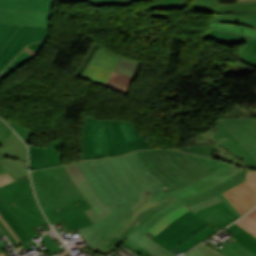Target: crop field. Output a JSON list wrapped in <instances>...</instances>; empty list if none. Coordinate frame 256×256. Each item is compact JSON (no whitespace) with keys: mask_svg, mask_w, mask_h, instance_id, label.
I'll return each instance as SVG.
<instances>
[{"mask_svg":"<svg viewBox=\"0 0 256 256\" xmlns=\"http://www.w3.org/2000/svg\"><path fill=\"white\" fill-rule=\"evenodd\" d=\"M0 214L5 218V220L9 223L12 229L15 231L17 236L21 239L23 243L31 240L32 243L37 247V244L34 243L33 239L30 238L24 230L19 226V224L15 221V219L10 215V213L6 210L3 204L0 202Z\"/></svg>","mask_w":256,"mask_h":256,"instance_id":"31","label":"crop field"},{"mask_svg":"<svg viewBox=\"0 0 256 256\" xmlns=\"http://www.w3.org/2000/svg\"><path fill=\"white\" fill-rule=\"evenodd\" d=\"M246 172H247V170L233 176L232 178H230L227 181L223 182L222 184L208 190L207 192L200 194V195L189 197V198L183 200V202L187 206H189L191 204L197 203L206 198L218 195L228 205V207L233 211V213L238 218H240L242 216L238 213V211L231 205V203L224 197V195L221 192L244 181L246 178Z\"/></svg>","mask_w":256,"mask_h":256,"instance_id":"18","label":"crop field"},{"mask_svg":"<svg viewBox=\"0 0 256 256\" xmlns=\"http://www.w3.org/2000/svg\"><path fill=\"white\" fill-rule=\"evenodd\" d=\"M196 214L219 230L238 219L224 202L198 211Z\"/></svg>","mask_w":256,"mask_h":256,"instance_id":"19","label":"crop field"},{"mask_svg":"<svg viewBox=\"0 0 256 256\" xmlns=\"http://www.w3.org/2000/svg\"><path fill=\"white\" fill-rule=\"evenodd\" d=\"M238 54L243 62L256 67V38L249 37Z\"/></svg>","mask_w":256,"mask_h":256,"instance_id":"29","label":"crop field"},{"mask_svg":"<svg viewBox=\"0 0 256 256\" xmlns=\"http://www.w3.org/2000/svg\"><path fill=\"white\" fill-rule=\"evenodd\" d=\"M246 181L256 191V171L248 170Z\"/></svg>","mask_w":256,"mask_h":256,"instance_id":"46","label":"crop field"},{"mask_svg":"<svg viewBox=\"0 0 256 256\" xmlns=\"http://www.w3.org/2000/svg\"><path fill=\"white\" fill-rule=\"evenodd\" d=\"M183 205L185 204L173 192L161 189L104 231L96 248L111 236L124 242L137 230L145 234L167 214ZM137 221L140 222L138 225L135 224Z\"/></svg>","mask_w":256,"mask_h":256,"instance_id":"5","label":"crop field"},{"mask_svg":"<svg viewBox=\"0 0 256 256\" xmlns=\"http://www.w3.org/2000/svg\"><path fill=\"white\" fill-rule=\"evenodd\" d=\"M153 148L131 121L100 120L85 116L81 159L118 156Z\"/></svg>","mask_w":256,"mask_h":256,"instance_id":"3","label":"crop field"},{"mask_svg":"<svg viewBox=\"0 0 256 256\" xmlns=\"http://www.w3.org/2000/svg\"><path fill=\"white\" fill-rule=\"evenodd\" d=\"M0 228L5 233L6 237L9 239V241L12 243L13 246L17 245V243L14 241V239L10 236V234L7 232V230L4 228V226L0 222Z\"/></svg>","mask_w":256,"mask_h":256,"instance_id":"50","label":"crop field"},{"mask_svg":"<svg viewBox=\"0 0 256 256\" xmlns=\"http://www.w3.org/2000/svg\"><path fill=\"white\" fill-rule=\"evenodd\" d=\"M149 16L169 20V14H149Z\"/></svg>","mask_w":256,"mask_h":256,"instance_id":"51","label":"crop field"},{"mask_svg":"<svg viewBox=\"0 0 256 256\" xmlns=\"http://www.w3.org/2000/svg\"><path fill=\"white\" fill-rule=\"evenodd\" d=\"M63 140L42 146L29 147L30 170L62 165Z\"/></svg>","mask_w":256,"mask_h":256,"instance_id":"14","label":"crop field"},{"mask_svg":"<svg viewBox=\"0 0 256 256\" xmlns=\"http://www.w3.org/2000/svg\"><path fill=\"white\" fill-rule=\"evenodd\" d=\"M244 169L235 167L233 165H227L220 170L212 173L211 175L188 185L180 190L174 191V193L181 199H185L189 196L200 194L220 183L232 177L233 175L243 171Z\"/></svg>","mask_w":256,"mask_h":256,"instance_id":"15","label":"crop field"},{"mask_svg":"<svg viewBox=\"0 0 256 256\" xmlns=\"http://www.w3.org/2000/svg\"><path fill=\"white\" fill-rule=\"evenodd\" d=\"M41 242L47 247V249L51 253L65 248V246L58 248L54 241L51 239V237L48 235V233L44 235V237L41 239Z\"/></svg>","mask_w":256,"mask_h":256,"instance_id":"45","label":"crop field"},{"mask_svg":"<svg viewBox=\"0 0 256 256\" xmlns=\"http://www.w3.org/2000/svg\"><path fill=\"white\" fill-rule=\"evenodd\" d=\"M238 2L256 1V0H237Z\"/></svg>","mask_w":256,"mask_h":256,"instance_id":"53","label":"crop field"},{"mask_svg":"<svg viewBox=\"0 0 256 256\" xmlns=\"http://www.w3.org/2000/svg\"><path fill=\"white\" fill-rule=\"evenodd\" d=\"M195 5L193 9L214 11L217 5L220 3L219 0H193Z\"/></svg>","mask_w":256,"mask_h":256,"instance_id":"38","label":"crop field"},{"mask_svg":"<svg viewBox=\"0 0 256 256\" xmlns=\"http://www.w3.org/2000/svg\"><path fill=\"white\" fill-rule=\"evenodd\" d=\"M0 256H5L4 252L0 253Z\"/></svg>","mask_w":256,"mask_h":256,"instance_id":"55","label":"crop field"},{"mask_svg":"<svg viewBox=\"0 0 256 256\" xmlns=\"http://www.w3.org/2000/svg\"><path fill=\"white\" fill-rule=\"evenodd\" d=\"M127 239L131 240L132 242L144 248L155 256H175L171 252L159 246L154 241L138 231L132 234Z\"/></svg>","mask_w":256,"mask_h":256,"instance_id":"23","label":"crop field"},{"mask_svg":"<svg viewBox=\"0 0 256 256\" xmlns=\"http://www.w3.org/2000/svg\"><path fill=\"white\" fill-rule=\"evenodd\" d=\"M14 180H16V179L7 172L3 175H0V186L7 184L9 182H12ZM0 221L3 223V225L9 231V233L12 235V237L15 239V241L18 244H21L22 242L20 241V239L16 236V234L13 232L11 227L8 225V223L4 220V218L1 215H0Z\"/></svg>","mask_w":256,"mask_h":256,"instance_id":"37","label":"crop field"},{"mask_svg":"<svg viewBox=\"0 0 256 256\" xmlns=\"http://www.w3.org/2000/svg\"><path fill=\"white\" fill-rule=\"evenodd\" d=\"M187 6L186 0H158L147 9H181L187 8Z\"/></svg>","mask_w":256,"mask_h":256,"instance_id":"33","label":"crop field"},{"mask_svg":"<svg viewBox=\"0 0 256 256\" xmlns=\"http://www.w3.org/2000/svg\"><path fill=\"white\" fill-rule=\"evenodd\" d=\"M0 152L4 157L27 161V149L14 132L1 146Z\"/></svg>","mask_w":256,"mask_h":256,"instance_id":"22","label":"crop field"},{"mask_svg":"<svg viewBox=\"0 0 256 256\" xmlns=\"http://www.w3.org/2000/svg\"><path fill=\"white\" fill-rule=\"evenodd\" d=\"M131 79L132 77L113 72L107 80L106 85L125 92Z\"/></svg>","mask_w":256,"mask_h":256,"instance_id":"34","label":"crop field"},{"mask_svg":"<svg viewBox=\"0 0 256 256\" xmlns=\"http://www.w3.org/2000/svg\"><path fill=\"white\" fill-rule=\"evenodd\" d=\"M0 236H3V233L0 231ZM0 252H2V250L0 249Z\"/></svg>","mask_w":256,"mask_h":256,"instance_id":"54","label":"crop field"},{"mask_svg":"<svg viewBox=\"0 0 256 256\" xmlns=\"http://www.w3.org/2000/svg\"><path fill=\"white\" fill-rule=\"evenodd\" d=\"M99 46H101V45H100V43H98L97 41H95V42L91 45V47H90V49H89L87 55H86V56L84 57V59L82 60L80 66H79V68H78V70H77V72H76L77 75H81V73L83 72L84 68H85L86 65L88 64V62H89L91 56L93 55V53L96 51V49H97ZM107 51H108V50H107ZM108 52H109V51H108ZM109 53H110V52H109ZM111 54H112V53H111ZM120 57H121V56H120ZM120 61L139 65L138 71H137L136 74L118 70L119 73L126 74V75H129V76L134 77L133 80L130 82V84H129L128 88H127L126 93H124V92H122V91H119V90H116V89H114V88L108 87V86H106V85H102V84H100V85L105 86V87H108V88H111V89H113V90H116V91H119V92H121V93H124V94H127V95H128L130 85H131V83L134 81V79L137 77L142 62L136 61V60H133V59H129V58H125V57H122ZM86 79H87V78H86ZM93 82H94V81H93ZM98 84H99V83H98Z\"/></svg>","mask_w":256,"mask_h":256,"instance_id":"25","label":"crop field"},{"mask_svg":"<svg viewBox=\"0 0 256 256\" xmlns=\"http://www.w3.org/2000/svg\"><path fill=\"white\" fill-rule=\"evenodd\" d=\"M251 218H253L256 221V208L252 210L250 213H248Z\"/></svg>","mask_w":256,"mask_h":256,"instance_id":"52","label":"crop field"},{"mask_svg":"<svg viewBox=\"0 0 256 256\" xmlns=\"http://www.w3.org/2000/svg\"><path fill=\"white\" fill-rule=\"evenodd\" d=\"M219 202H222V200L218 196H216V197H213V198L206 199V200H204L202 202H199L197 204H194L192 206H189V208L193 212H196L198 210H201L203 208H206V207H209L211 205L217 204Z\"/></svg>","mask_w":256,"mask_h":256,"instance_id":"42","label":"crop field"},{"mask_svg":"<svg viewBox=\"0 0 256 256\" xmlns=\"http://www.w3.org/2000/svg\"><path fill=\"white\" fill-rule=\"evenodd\" d=\"M51 14L0 8V22L49 26Z\"/></svg>","mask_w":256,"mask_h":256,"instance_id":"16","label":"crop field"},{"mask_svg":"<svg viewBox=\"0 0 256 256\" xmlns=\"http://www.w3.org/2000/svg\"><path fill=\"white\" fill-rule=\"evenodd\" d=\"M77 165L99 199L113 212L98 223L77 230L93 250L105 229L165 186L156 175H152L136 152L84 160Z\"/></svg>","mask_w":256,"mask_h":256,"instance_id":"1","label":"crop field"},{"mask_svg":"<svg viewBox=\"0 0 256 256\" xmlns=\"http://www.w3.org/2000/svg\"><path fill=\"white\" fill-rule=\"evenodd\" d=\"M223 194L243 216L256 205V192L245 181Z\"/></svg>","mask_w":256,"mask_h":256,"instance_id":"17","label":"crop field"},{"mask_svg":"<svg viewBox=\"0 0 256 256\" xmlns=\"http://www.w3.org/2000/svg\"><path fill=\"white\" fill-rule=\"evenodd\" d=\"M137 67L138 66H136V65H131V64L122 63V62H120L119 65H118L119 69L134 72V73H136Z\"/></svg>","mask_w":256,"mask_h":256,"instance_id":"47","label":"crop field"},{"mask_svg":"<svg viewBox=\"0 0 256 256\" xmlns=\"http://www.w3.org/2000/svg\"><path fill=\"white\" fill-rule=\"evenodd\" d=\"M31 58H33V56H31L30 54H28L26 51L23 50L13 60V62L0 73V80L5 76H7L12 71H14L15 69H17L18 67H20L21 65H23L24 63H26L27 61H29Z\"/></svg>","mask_w":256,"mask_h":256,"instance_id":"35","label":"crop field"},{"mask_svg":"<svg viewBox=\"0 0 256 256\" xmlns=\"http://www.w3.org/2000/svg\"><path fill=\"white\" fill-rule=\"evenodd\" d=\"M49 27L21 25L12 39L0 51V72L27 45L47 38Z\"/></svg>","mask_w":256,"mask_h":256,"instance_id":"10","label":"crop field"},{"mask_svg":"<svg viewBox=\"0 0 256 256\" xmlns=\"http://www.w3.org/2000/svg\"><path fill=\"white\" fill-rule=\"evenodd\" d=\"M119 60L120 57L111 55L105 49L99 47L82 73V76L105 84Z\"/></svg>","mask_w":256,"mask_h":256,"instance_id":"13","label":"crop field"},{"mask_svg":"<svg viewBox=\"0 0 256 256\" xmlns=\"http://www.w3.org/2000/svg\"><path fill=\"white\" fill-rule=\"evenodd\" d=\"M22 138L25 142H27L30 134L31 129L28 127L16 125L14 123L7 122Z\"/></svg>","mask_w":256,"mask_h":256,"instance_id":"43","label":"crop field"},{"mask_svg":"<svg viewBox=\"0 0 256 256\" xmlns=\"http://www.w3.org/2000/svg\"><path fill=\"white\" fill-rule=\"evenodd\" d=\"M14 131L0 118V145L13 133ZM3 156L0 153V158ZM6 170L0 165V174Z\"/></svg>","mask_w":256,"mask_h":256,"instance_id":"39","label":"crop field"},{"mask_svg":"<svg viewBox=\"0 0 256 256\" xmlns=\"http://www.w3.org/2000/svg\"><path fill=\"white\" fill-rule=\"evenodd\" d=\"M214 12V17L256 20V2L219 4Z\"/></svg>","mask_w":256,"mask_h":256,"instance_id":"20","label":"crop field"},{"mask_svg":"<svg viewBox=\"0 0 256 256\" xmlns=\"http://www.w3.org/2000/svg\"><path fill=\"white\" fill-rule=\"evenodd\" d=\"M56 2H62L66 4H78L85 3L90 6H118V5H135L138 2L145 0H54Z\"/></svg>","mask_w":256,"mask_h":256,"instance_id":"27","label":"crop field"},{"mask_svg":"<svg viewBox=\"0 0 256 256\" xmlns=\"http://www.w3.org/2000/svg\"><path fill=\"white\" fill-rule=\"evenodd\" d=\"M218 231L215 230L212 226L209 224L206 225L204 228L199 230L197 233H195L193 236L189 237L185 241H183L178 246L174 247L183 254L189 251L191 248L195 247L196 245L200 244L202 241H204L206 238L214 235Z\"/></svg>","mask_w":256,"mask_h":256,"instance_id":"26","label":"crop field"},{"mask_svg":"<svg viewBox=\"0 0 256 256\" xmlns=\"http://www.w3.org/2000/svg\"><path fill=\"white\" fill-rule=\"evenodd\" d=\"M235 223L238 224L243 229H245L246 231H248L249 233L256 236V222L247 215Z\"/></svg>","mask_w":256,"mask_h":256,"instance_id":"40","label":"crop field"},{"mask_svg":"<svg viewBox=\"0 0 256 256\" xmlns=\"http://www.w3.org/2000/svg\"><path fill=\"white\" fill-rule=\"evenodd\" d=\"M0 7L29 11L52 12L53 0H0Z\"/></svg>","mask_w":256,"mask_h":256,"instance_id":"21","label":"crop field"},{"mask_svg":"<svg viewBox=\"0 0 256 256\" xmlns=\"http://www.w3.org/2000/svg\"><path fill=\"white\" fill-rule=\"evenodd\" d=\"M34 190L51 224L61 222L70 235L92 225L83 210L91 206L63 166L31 172Z\"/></svg>","mask_w":256,"mask_h":256,"instance_id":"2","label":"crop field"},{"mask_svg":"<svg viewBox=\"0 0 256 256\" xmlns=\"http://www.w3.org/2000/svg\"><path fill=\"white\" fill-rule=\"evenodd\" d=\"M219 121L256 159V118H221Z\"/></svg>","mask_w":256,"mask_h":256,"instance_id":"12","label":"crop field"},{"mask_svg":"<svg viewBox=\"0 0 256 256\" xmlns=\"http://www.w3.org/2000/svg\"><path fill=\"white\" fill-rule=\"evenodd\" d=\"M151 172L170 190H177L220 169L228 163L175 150L137 151Z\"/></svg>","mask_w":256,"mask_h":256,"instance_id":"4","label":"crop field"},{"mask_svg":"<svg viewBox=\"0 0 256 256\" xmlns=\"http://www.w3.org/2000/svg\"><path fill=\"white\" fill-rule=\"evenodd\" d=\"M233 236L218 244L206 241L210 246L224 256H256V237L244 231L235 223L226 228Z\"/></svg>","mask_w":256,"mask_h":256,"instance_id":"9","label":"crop field"},{"mask_svg":"<svg viewBox=\"0 0 256 256\" xmlns=\"http://www.w3.org/2000/svg\"><path fill=\"white\" fill-rule=\"evenodd\" d=\"M179 150L215 157L243 168L256 169V160L220 122L218 127L196 135Z\"/></svg>","mask_w":256,"mask_h":256,"instance_id":"6","label":"crop field"},{"mask_svg":"<svg viewBox=\"0 0 256 256\" xmlns=\"http://www.w3.org/2000/svg\"><path fill=\"white\" fill-rule=\"evenodd\" d=\"M64 167L92 206V208L85 210V212L89 216L93 224L98 222L100 219L107 216L108 214L112 213L109 208L105 207L95 195L94 191L90 187L89 183L81 173L76 163L65 165Z\"/></svg>","mask_w":256,"mask_h":256,"instance_id":"11","label":"crop field"},{"mask_svg":"<svg viewBox=\"0 0 256 256\" xmlns=\"http://www.w3.org/2000/svg\"><path fill=\"white\" fill-rule=\"evenodd\" d=\"M206 224L208 223L189 211L169 224L156 236L152 235L150 232L145 235L169 250Z\"/></svg>","mask_w":256,"mask_h":256,"instance_id":"8","label":"crop field"},{"mask_svg":"<svg viewBox=\"0 0 256 256\" xmlns=\"http://www.w3.org/2000/svg\"><path fill=\"white\" fill-rule=\"evenodd\" d=\"M20 25L0 23V50L15 34Z\"/></svg>","mask_w":256,"mask_h":256,"instance_id":"36","label":"crop field"},{"mask_svg":"<svg viewBox=\"0 0 256 256\" xmlns=\"http://www.w3.org/2000/svg\"><path fill=\"white\" fill-rule=\"evenodd\" d=\"M238 25H243L249 28H253L256 29V21H247V20H240ZM252 36H256V30L255 32L252 34Z\"/></svg>","mask_w":256,"mask_h":256,"instance_id":"48","label":"crop field"},{"mask_svg":"<svg viewBox=\"0 0 256 256\" xmlns=\"http://www.w3.org/2000/svg\"><path fill=\"white\" fill-rule=\"evenodd\" d=\"M122 245H124L126 248L140 256H153L152 254L148 253L147 251H145L144 249L140 248L139 246L135 245L134 243L127 239Z\"/></svg>","mask_w":256,"mask_h":256,"instance_id":"44","label":"crop field"},{"mask_svg":"<svg viewBox=\"0 0 256 256\" xmlns=\"http://www.w3.org/2000/svg\"><path fill=\"white\" fill-rule=\"evenodd\" d=\"M190 210L186 205L173 211L168 216H166L164 219H162L158 224H156L150 232L153 234L159 233L163 228H165L169 223H171L173 220L181 216L186 211Z\"/></svg>","mask_w":256,"mask_h":256,"instance_id":"32","label":"crop field"},{"mask_svg":"<svg viewBox=\"0 0 256 256\" xmlns=\"http://www.w3.org/2000/svg\"><path fill=\"white\" fill-rule=\"evenodd\" d=\"M202 37L218 40L229 45L245 42L247 39V37H243L237 34L223 33L212 30H208Z\"/></svg>","mask_w":256,"mask_h":256,"instance_id":"30","label":"crop field"},{"mask_svg":"<svg viewBox=\"0 0 256 256\" xmlns=\"http://www.w3.org/2000/svg\"><path fill=\"white\" fill-rule=\"evenodd\" d=\"M239 20L240 19L233 18H213L210 29L223 30L251 36L254 30L243 26H237Z\"/></svg>","mask_w":256,"mask_h":256,"instance_id":"24","label":"crop field"},{"mask_svg":"<svg viewBox=\"0 0 256 256\" xmlns=\"http://www.w3.org/2000/svg\"><path fill=\"white\" fill-rule=\"evenodd\" d=\"M0 200L29 236L36 234L32 228L39 225L50 230L36 202L29 177L1 187Z\"/></svg>","mask_w":256,"mask_h":256,"instance_id":"7","label":"crop field"},{"mask_svg":"<svg viewBox=\"0 0 256 256\" xmlns=\"http://www.w3.org/2000/svg\"><path fill=\"white\" fill-rule=\"evenodd\" d=\"M46 40L36 43V44H33V45H30V46H27V47H29L30 49H32L33 51H35L38 54V52L40 51L41 47L46 42Z\"/></svg>","mask_w":256,"mask_h":256,"instance_id":"49","label":"crop field"},{"mask_svg":"<svg viewBox=\"0 0 256 256\" xmlns=\"http://www.w3.org/2000/svg\"><path fill=\"white\" fill-rule=\"evenodd\" d=\"M0 164L16 179L29 175L28 170H23V167H27V162L3 158L0 159Z\"/></svg>","mask_w":256,"mask_h":256,"instance_id":"28","label":"crop field"},{"mask_svg":"<svg viewBox=\"0 0 256 256\" xmlns=\"http://www.w3.org/2000/svg\"><path fill=\"white\" fill-rule=\"evenodd\" d=\"M184 256H221V255L202 244Z\"/></svg>","mask_w":256,"mask_h":256,"instance_id":"41","label":"crop field"}]
</instances>
